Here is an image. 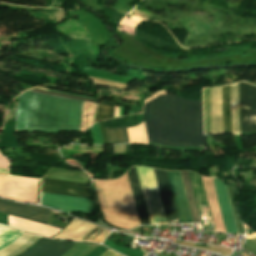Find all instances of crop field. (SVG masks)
I'll use <instances>...</instances> for the list:
<instances>
[{
    "mask_svg": "<svg viewBox=\"0 0 256 256\" xmlns=\"http://www.w3.org/2000/svg\"><path fill=\"white\" fill-rule=\"evenodd\" d=\"M94 106H95V104H93V103L83 101L82 111H81L80 131H85L86 129L89 128L91 119H92Z\"/></svg>",
    "mask_w": 256,
    "mask_h": 256,
    "instance_id": "obj_20",
    "label": "crop field"
},
{
    "mask_svg": "<svg viewBox=\"0 0 256 256\" xmlns=\"http://www.w3.org/2000/svg\"><path fill=\"white\" fill-rule=\"evenodd\" d=\"M42 205L70 214L71 211L91 214L93 205L42 198Z\"/></svg>",
    "mask_w": 256,
    "mask_h": 256,
    "instance_id": "obj_15",
    "label": "crop field"
},
{
    "mask_svg": "<svg viewBox=\"0 0 256 256\" xmlns=\"http://www.w3.org/2000/svg\"><path fill=\"white\" fill-rule=\"evenodd\" d=\"M105 130L109 144L129 143L126 127L107 128Z\"/></svg>",
    "mask_w": 256,
    "mask_h": 256,
    "instance_id": "obj_17",
    "label": "crop field"
},
{
    "mask_svg": "<svg viewBox=\"0 0 256 256\" xmlns=\"http://www.w3.org/2000/svg\"><path fill=\"white\" fill-rule=\"evenodd\" d=\"M212 179H213L214 187L216 190L217 198L219 201L220 209L222 212L223 220L225 223L226 231L231 233H237L225 182L215 178H212Z\"/></svg>",
    "mask_w": 256,
    "mask_h": 256,
    "instance_id": "obj_10",
    "label": "crop field"
},
{
    "mask_svg": "<svg viewBox=\"0 0 256 256\" xmlns=\"http://www.w3.org/2000/svg\"><path fill=\"white\" fill-rule=\"evenodd\" d=\"M128 179L131 186L132 194L134 197V201L136 204L137 212L139 215L140 223L141 224H150L148 215L146 212V208L144 205L143 197L141 194L140 186L138 183V179L136 176L135 168L133 167L128 173Z\"/></svg>",
    "mask_w": 256,
    "mask_h": 256,
    "instance_id": "obj_14",
    "label": "crop field"
},
{
    "mask_svg": "<svg viewBox=\"0 0 256 256\" xmlns=\"http://www.w3.org/2000/svg\"><path fill=\"white\" fill-rule=\"evenodd\" d=\"M180 173H181V177H182V181H183V185H184V189H185V193H186V197H187V201H188L192 221L193 222H201L200 217H199V213H198V210H197L196 202H195V199H194V195H193V192H192L191 184H190V181H189L188 173L187 172H180Z\"/></svg>",
    "mask_w": 256,
    "mask_h": 256,
    "instance_id": "obj_16",
    "label": "crop field"
},
{
    "mask_svg": "<svg viewBox=\"0 0 256 256\" xmlns=\"http://www.w3.org/2000/svg\"><path fill=\"white\" fill-rule=\"evenodd\" d=\"M93 144L103 145L98 123L91 127Z\"/></svg>",
    "mask_w": 256,
    "mask_h": 256,
    "instance_id": "obj_23",
    "label": "crop field"
},
{
    "mask_svg": "<svg viewBox=\"0 0 256 256\" xmlns=\"http://www.w3.org/2000/svg\"><path fill=\"white\" fill-rule=\"evenodd\" d=\"M233 133L239 134L237 83L231 85Z\"/></svg>",
    "mask_w": 256,
    "mask_h": 256,
    "instance_id": "obj_19",
    "label": "crop field"
},
{
    "mask_svg": "<svg viewBox=\"0 0 256 256\" xmlns=\"http://www.w3.org/2000/svg\"><path fill=\"white\" fill-rule=\"evenodd\" d=\"M8 162L0 155V167L7 168Z\"/></svg>",
    "mask_w": 256,
    "mask_h": 256,
    "instance_id": "obj_27",
    "label": "crop field"
},
{
    "mask_svg": "<svg viewBox=\"0 0 256 256\" xmlns=\"http://www.w3.org/2000/svg\"><path fill=\"white\" fill-rule=\"evenodd\" d=\"M25 205L11 203L0 199V212L62 229V227L46 223L51 210L31 207L32 205Z\"/></svg>",
    "mask_w": 256,
    "mask_h": 256,
    "instance_id": "obj_6",
    "label": "crop field"
},
{
    "mask_svg": "<svg viewBox=\"0 0 256 256\" xmlns=\"http://www.w3.org/2000/svg\"><path fill=\"white\" fill-rule=\"evenodd\" d=\"M203 185L205 188L206 196L208 199L209 207L211 210L212 218L214 221L215 229L218 231H225L224 223L222 220L221 212L219 209L218 201L216 198L215 190L213 187L212 179L211 178H203Z\"/></svg>",
    "mask_w": 256,
    "mask_h": 256,
    "instance_id": "obj_13",
    "label": "crop field"
},
{
    "mask_svg": "<svg viewBox=\"0 0 256 256\" xmlns=\"http://www.w3.org/2000/svg\"><path fill=\"white\" fill-rule=\"evenodd\" d=\"M38 180L0 175V196L36 203Z\"/></svg>",
    "mask_w": 256,
    "mask_h": 256,
    "instance_id": "obj_4",
    "label": "crop field"
},
{
    "mask_svg": "<svg viewBox=\"0 0 256 256\" xmlns=\"http://www.w3.org/2000/svg\"><path fill=\"white\" fill-rule=\"evenodd\" d=\"M143 117L150 142L203 147L202 101L159 96L145 103Z\"/></svg>",
    "mask_w": 256,
    "mask_h": 256,
    "instance_id": "obj_1",
    "label": "crop field"
},
{
    "mask_svg": "<svg viewBox=\"0 0 256 256\" xmlns=\"http://www.w3.org/2000/svg\"><path fill=\"white\" fill-rule=\"evenodd\" d=\"M109 233L110 231H106L101 227L94 225L78 240L101 243Z\"/></svg>",
    "mask_w": 256,
    "mask_h": 256,
    "instance_id": "obj_18",
    "label": "crop field"
},
{
    "mask_svg": "<svg viewBox=\"0 0 256 256\" xmlns=\"http://www.w3.org/2000/svg\"><path fill=\"white\" fill-rule=\"evenodd\" d=\"M223 133H232L230 86L222 87ZM221 87L206 89L207 134L222 133ZM205 112V89H204ZM206 134V112H205Z\"/></svg>",
    "mask_w": 256,
    "mask_h": 256,
    "instance_id": "obj_3",
    "label": "crop field"
},
{
    "mask_svg": "<svg viewBox=\"0 0 256 256\" xmlns=\"http://www.w3.org/2000/svg\"><path fill=\"white\" fill-rule=\"evenodd\" d=\"M40 238L41 236L24 232L22 235L16 238L12 243L0 249V256H18Z\"/></svg>",
    "mask_w": 256,
    "mask_h": 256,
    "instance_id": "obj_12",
    "label": "crop field"
},
{
    "mask_svg": "<svg viewBox=\"0 0 256 256\" xmlns=\"http://www.w3.org/2000/svg\"><path fill=\"white\" fill-rule=\"evenodd\" d=\"M154 170L168 224L180 223L166 171Z\"/></svg>",
    "mask_w": 256,
    "mask_h": 256,
    "instance_id": "obj_7",
    "label": "crop field"
},
{
    "mask_svg": "<svg viewBox=\"0 0 256 256\" xmlns=\"http://www.w3.org/2000/svg\"><path fill=\"white\" fill-rule=\"evenodd\" d=\"M168 172V171H167ZM171 188L173 191L175 203L177 206L179 218L181 223L192 222L180 173L179 172H168Z\"/></svg>",
    "mask_w": 256,
    "mask_h": 256,
    "instance_id": "obj_9",
    "label": "crop field"
},
{
    "mask_svg": "<svg viewBox=\"0 0 256 256\" xmlns=\"http://www.w3.org/2000/svg\"><path fill=\"white\" fill-rule=\"evenodd\" d=\"M29 91H30V90H29ZM31 91H33V92H39V93H43V94H47V95L59 96V97H67V98L81 99V100L91 101V102H94V103H95V100H91V99H87V98H78V97L69 96V95H63V94H57V93H53V92H49V91H42V90H38V89H36V88L31 89Z\"/></svg>",
    "mask_w": 256,
    "mask_h": 256,
    "instance_id": "obj_24",
    "label": "crop field"
},
{
    "mask_svg": "<svg viewBox=\"0 0 256 256\" xmlns=\"http://www.w3.org/2000/svg\"><path fill=\"white\" fill-rule=\"evenodd\" d=\"M73 245L75 244L44 238L23 256H61Z\"/></svg>",
    "mask_w": 256,
    "mask_h": 256,
    "instance_id": "obj_11",
    "label": "crop field"
},
{
    "mask_svg": "<svg viewBox=\"0 0 256 256\" xmlns=\"http://www.w3.org/2000/svg\"><path fill=\"white\" fill-rule=\"evenodd\" d=\"M81 104L27 91L19 97L15 131H79Z\"/></svg>",
    "mask_w": 256,
    "mask_h": 256,
    "instance_id": "obj_2",
    "label": "crop field"
},
{
    "mask_svg": "<svg viewBox=\"0 0 256 256\" xmlns=\"http://www.w3.org/2000/svg\"><path fill=\"white\" fill-rule=\"evenodd\" d=\"M42 197L92 204L91 201L87 199H80V198H73V197H66V196H59V195H52V194H45V193H43Z\"/></svg>",
    "mask_w": 256,
    "mask_h": 256,
    "instance_id": "obj_22",
    "label": "crop field"
},
{
    "mask_svg": "<svg viewBox=\"0 0 256 256\" xmlns=\"http://www.w3.org/2000/svg\"><path fill=\"white\" fill-rule=\"evenodd\" d=\"M115 255H117V253H115V252H113V251L108 249L101 256H115Z\"/></svg>",
    "mask_w": 256,
    "mask_h": 256,
    "instance_id": "obj_28",
    "label": "crop field"
},
{
    "mask_svg": "<svg viewBox=\"0 0 256 256\" xmlns=\"http://www.w3.org/2000/svg\"><path fill=\"white\" fill-rule=\"evenodd\" d=\"M159 92H166V91H159ZM159 92H156V93H159ZM156 93H154L153 95H155ZM161 94H166V93H159V94H157V96L158 95H161ZM147 100V99H146Z\"/></svg>",
    "mask_w": 256,
    "mask_h": 256,
    "instance_id": "obj_29",
    "label": "crop field"
},
{
    "mask_svg": "<svg viewBox=\"0 0 256 256\" xmlns=\"http://www.w3.org/2000/svg\"><path fill=\"white\" fill-rule=\"evenodd\" d=\"M111 118H113V106L98 104L93 123Z\"/></svg>",
    "mask_w": 256,
    "mask_h": 256,
    "instance_id": "obj_21",
    "label": "crop field"
},
{
    "mask_svg": "<svg viewBox=\"0 0 256 256\" xmlns=\"http://www.w3.org/2000/svg\"><path fill=\"white\" fill-rule=\"evenodd\" d=\"M240 132L256 131V87L239 83Z\"/></svg>",
    "mask_w": 256,
    "mask_h": 256,
    "instance_id": "obj_5",
    "label": "crop field"
},
{
    "mask_svg": "<svg viewBox=\"0 0 256 256\" xmlns=\"http://www.w3.org/2000/svg\"><path fill=\"white\" fill-rule=\"evenodd\" d=\"M244 245L249 246V247H251L252 249H254L256 251V238L253 239V240L247 238Z\"/></svg>",
    "mask_w": 256,
    "mask_h": 256,
    "instance_id": "obj_25",
    "label": "crop field"
},
{
    "mask_svg": "<svg viewBox=\"0 0 256 256\" xmlns=\"http://www.w3.org/2000/svg\"><path fill=\"white\" fill-rule=\"evenodd\" d=\"M44 185H45L46 193H53V194L90 199L87 191V187L84 184L43 178L42 192H44Z\"/></svg>",
    "mask_w": 256,
    "mask_h": 256,
    "instance_id": "obj_8",
    "label": "crop field"
},
{
    "mask_svg": "<svg viewBox=\"0 0 256 256\" xmlns=\"http://www.w3.org/2000/svg\"><path fill=\"white\" fill-rule=\"evenodd\" d=\"M100 124V128H101V132H102V139H103V143L104 145L108 144L107 143V139H106V132L104 130V125L103 122L99 123Z\"/></svg>",
    "mask_w": 256,
    "mask_h": 256,
    "instance_id": "obj_26",
    "label": "crop field"
}]
</instances>
